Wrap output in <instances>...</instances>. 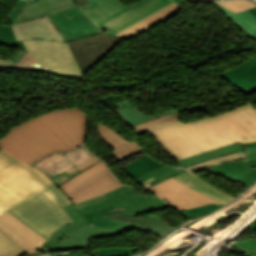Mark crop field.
I'll return each mask as SVG.
<instances>
[{"mask_svg":"<svg viewBox=\"0 0 256 256\" xmlns=\"http://www.w3.org/2000/svg\"><path fill=\"white\" fill-rule=\"evenodd\" d=\"M12 28L17 40L38 38L65 41L48 16L12 25Z\"/></svg>","mask_w":256,"mask_h":256,"instance_id":"obj_13","label":"crop field"},{"mask_svg":"<svg viewBox=\"0 0 256 256\" xmlns=\"http://www.w3.org/2000/svg\"><path fill=\"white\" fill-rule=\"evenodd\" d=\"M100 160L82 145L69 153H54L31 166L43 171L59 186Z\"/></svg>","mask_w":256,"mask_h":256,"instance_id":"obj_6","label":"crop field"},{"mask_svg":"<svg viewBox=\"0 0 256 256\" xmlns=\"http://www.w3.org/2000/svg\"><path fill=\"white\" fill-rule=\"evenodd\" d=\"M91 4L79 7L88 19L99 28L118 18L147 0H139L126 7L120 0H88Z\"/></svg>","mask_w":256,"mask_h":256,"instance_id":"obj_11","label":"crop field"},{"mask_svg":"<svg viewBox=\"0 0 256 256\" xmlns=\"http://www.w3.org/2000/svg\"><path fill=\"white\" fill-rule=\"evenodd\" d=\"M86 4L87 0H39L25 6L19 19L23 22L48 15L66 42L103 33L77 8Z\"/></svg>","mask_w":256,"mask_h":256,"instance_id":"obj_4","label":"crop field"},{"mask_svg":"<svg viewBox=\"0 0 256 256\" xmlns=\"http://www.w3.org/2000/svg\"><path fill=\"white\" fill-rule=\"evenodd\" d=\"M148 190L164 198L178 211L210 203L219 204L213 199L181 184L173 177L149 188Z\"/></svg>","mask_w":256,"mask_h":256,"instance_id":"obj_9","label":"crop field"},{"mask_svg":"<svg viewBox=\"0 0 256 256\" xmlns=\"http://www.w3.org/2000/svg\"><path fill=\"white\" fill-rule=\"evenodd\" d=\"M9 211L47 239L66 223L40 192Z\"/></svg>","mask_w":256,"mask_h":256,"instance_id":"obj_7","label":"crop field"},{"mask_svg":"<svg viewBox=\"0 0 256 256\" xmlns=\"http://www.w3.org/2000/svg\"><path fill=\"white\" fill-rule=\"evenodd\" d=\"M244 95L256 92V59L248 58L245 62L218 74Z\"/></svg>","mask_w":256,"mask_h":256,"instance_id":"obj_12","label":"crop field"},{"mask_svg":"<svg viewBox=\"0 0 256 256\" xmlns=\"http://www.w3.org/2000/svg\"><path fill=\"white\" fill-rule=\"evenodd\" d=\"M52 183L44 173L0 148V214Z\"/></svg>","mask_w":256,"mask_h":256,"instance_id":"obj_3","label":"crop field"},{"mask_svg":"<svg viewBox=\"0 0 256 256\" xmlns=\"http://www.w3.org/2000/svg\"><path fill=\"white\" fill-rule=\"evenodd\" d=\"M242 145H244L245 147L254 146V145H256V142L247 143V144H242Z\"/></svg>","mask_w":256,"mask_h":256,"instance_id":"obj_42","label":"crop field"},{"mask_svg":"<svg viewBox=\"0 0 256 256\" xmlns=\"http://www.w3.org/2000/svg\"><path fill=\"white\" fill-rule=\"evenodd\" d=\"M250 167H256V158L247 160Z\"/></svg>","mask_w":256,"mask_h":256,"instance_id":"obj_40","label":"crop field"},{"mask_svg":"<svg viewBox=\"0 0 256 256\" xmlns=\"http://www.w3.org/2000/svg\"><path fill=\"white\" fill-rule=\"evenodd\" d=\"M174 178L181 183L201 192L204 193L214 200L222 203L223 205L235 198L234 196L210 185L209 183L195 177L191 173L185 171L179 175L174 176Z\"/></svg>","mask_w":256,"mask_h":256,"instance_id":"obj_17","label":"crop field"},{"mask_svg":"<svg viewBox=\"0 0 256 256\" xmlns=\"http://www.w3.org/2000/svg\"><path fill=\"white\" fill-rule=\"evenodd\" d=\"M246 149H247L246 159L256 157V146L248 147Z\"/></svg>","mask_w":256,"mask_h":256,"instance_id":"obj_38","label":"crop field"},{"mask_svg":"<svg viewBox=\"0 0 256 256\" xmlns=\"http://www.w3.org/2000/svg\"><path fill=\"white\" fill-rule=\"evenodd\" d=\"M0 44L26 49L22 41H16L11 26L0 25Z\"/></svg>","mask_w":256,"mask_h":256,"instance_id":"obj_30","label":"crop field"},{"mask_svg":"<svg viewBox=\"0 0 256 256\" xmlns=\"http://www.w3.org/2000/svg\"><path fill=\"white\" fill-rule=\"evenodd\" d=\"M173 3L171 0H161L158 3L154 4L153 6L149 7L148 9L142 11L141 13L137 14L136 16L132 17L131 19L127 20L126 22L122 23L121 25L115 27L114 29L108 31L109 33L115 35L116 33L138 23L143 18L159 11L160 9L166 7L167 5Z\"/></svg>","mask_w":256,"mask_h":256,"instance_id":"obj_28","label":"crop field"},{"mask_svg":"<svg viewBox=\"0 0 256 256\" xmlns=\"http://www.w3.org/2000/svg\"><path fill=\"white\" fill-rule=\"evenodd\" d=\"M221 4L222 6L226 7L227 9L237 13L242 10L255 7L253 4H251L248 1H243V0H229V1H219L217 2Z\"/></svg>","mask_w":256,"mask_h":256,"instance_id":"obj_33","label":"crop field"},{"mask_svg":"<svg viewBox=\"0 0 256 256\" xmlns=\"http://www.w3.org/2000/svg\"><path fill=\"white\" fill-rule=\"evenodd\" d=\"M40 192L56 207L68 224L73 222L63 207L71 202L55 183Z\"/></svg>","mask_w":256,"mask_h":256,"instance_id":"obj_24","label":"crop field"},{"mask_svg":"<svg viewBox=\"0 0 256 256\" xmlns=\"http://www.w3.org/2000/svg\"><path fill=\"white\" fill-rule=\"evenodd\" d=\"M183 171L185 170L177 167H172L170 165H166L137 178L136 182L142 185L143 187L148 188L163 179L169 178Z\"/></svg>","mask_w":256,"mask_h":256,"instance_id":"obj_25","label":"crop field"},{"mask_svg":"<svg viewBox=\"0 0 256 256\" xmlns=\"http://www.w3.org/2000/svg\"><path fill=\"white\" fill-rule=\"evenodd\" d=\"M204 107H205V104L201 103V104L192 105V106H188V107H184V108H180V109H175V110H171V111L162 112V113L152 115V116H149V117L144 115L141 112V110L138 108V106L117 110V112L124 119H126L132 126H134V125L141 124L142 122H145L147 120H150V119H153V118H156V117H160V116L172 113V112L181 111V110L203 109Z\"/></svg>","mask_w":256,"mask_h":256,"instance_id":"obj_23","label":"crop field"},{"mask_svg":"<svg viewBox=\"0 0 256 256\" xmlns=\"http://www.w3.org/2000/svg\"><path fill=\"white\" fill-rule=\"evenodd\" d=\"M0 230L31 256L47 240L9 211L0 215Z\"/></svg>","mask_w":256,"mask_h":256,"instance_id":"obj_10","label":"crop field"},{"mask_svg":"<svg viewBox=\"0 0 256 256\" xmlns=\"http://www.w3.org/2000/svg\"><path fill=\"white\" fill-rule=\"evenodd\" d=\"M137 247L94 249L93 254L98 256H128L133 255Z\"/></svg>","mask_w":256,"mask_h":256,"instance_id":"obj_32","label":"crop field"},{"mask_svg":"<svg viewBox=\"0 0 256 256\" xmlns=\"http://www.w3.org/2000/svg\"><path fill=\"white\" fill-rule=\"evenodd\" d=\"M105 196L108 199L87 207L77 209V211L79 212L80 215H83L101 208H105L117 203L143 197L146 195L136 191L135 188L124 186L120 189H117L115 191L105 194Z\"/></svg>","mask_w":256,"mask_h":256,"instance_id":"obj_22","label":"crop field"},{"mask_svg":"<svg viewBox=\"0 0 256 256\" xmlns=\"http://www.w3.org/2000/svg\"><path fill=\"white\" fill-rule=\"evenodd\" d=\"M25 4V0L24 1H17L10 16H9V19L11 21V24H17V23H20L18 21V18H17V15L19 14V12L21 11V9L23 8Z\"/></svg>","mask_w":256,"mask_h":256,"instance_id":"obj_35","label":"crop field"},{"mask_svg":"<svg viewBox=\"0 0 256 256\" xmlns=\"http://www.w3.org/2000/svg\"><path fill=\"white\" fill-rule=\"evenodd\" d=\"M254 16H256V7L252 9H248Z\"/></svg>","mask_w":256,"mask_h":256,"instance_id":"obj_41","label":"crop field"},{"mask_svg":"<svg viewBox=\"0 0 256 256\" xmlns=\"http://www.w3.org/2000/svg\"><path fill=\"white\" fill-rule=\"evenodd\" d=\"M23 42L28 53L54 73L83 77L67 43L38 39Z\"/></svg>","mask_w":256,"mask_h":256,"instance_id":"obj_8","label":"crop field"},{"mask_svg":"<svg viewBox=\"0 0 256 256\" xmlns=\"http://www.w3.org/2000/svg\"><path fill=\"white\" fill-rule=\"evenodd\" d=\"M221 206L223 205L210 204V205H206L203 207H199V208H195L187 211H180V213H182L185 217L190 219L196 216L209 214Z\"/></svg>","mask_w":256,"mask_h":256,"instance_id":"obj_34","label":"crop field"},{"mask_svg":"<svg viewBox=\"0 0 256 256\" xmlns=\"http://www.w3.org/2000/svg\"><path fill=\"white\" fill-rule=\"evenodd\" d=\"M254 2H256V0H253Z\"/></svg>","mask_w":256,"mask_h":256,"instance_id":"obj_44","label":"crop field"},{"mask_svg":"<svg viewBox=\"0 0 256 256\" xmlns=\"http://www.w3.org/2000/svg\"><path fill=\"white\" fill-rule=\"evenodd\" d=\"M191 1H202V0H191Z\"/></svg>","mask_w":256,"mask_h":256,"instance_id":"obj_43","label":"crop field"},{"mask_svg":"<svg viewBox=\"0 0 256 256\" xmlns=\"http://www.w3.org/2000/svg\"><path fill=\"white\" fill-rule=\"evenodd\" d=\"M104 199H106V197H105L104 195H102V196H98V197H95V198L86 200V201H84V202L75 204V205H73V206L75 207V209H77V208H80V207H83V206H86V205H90V204L99 202V201L104 200Z\"/></svg>","mask_w":256,"mask_h":256,"instance_id":"obj_37","label":"crop field"},{"mask_svg":"<svg viewBox=\"0 0 256 256\" xmlns=\"http://www.w3.org/2000/svg\"><path fill=\"white\" fill-rule=\"evenodd\" d=\"M213 3L217 5L224 13H226L233 21H235L242 29H244L256 41V17H254L247 10L235 14L227 10L226 8L220 6L217 3L215 2Z\"/></svg>","mask_w":256,"mask_h":256,"instance_id":"obj_26","label":"crop field"},{"mask_svg":"<svg viewBox=\"0 0 256 256\" xmlns=\"http://www.w3.org/2000/svg\"><path fill=\"white\" fill-rule=\"evenodd\" d=\"M24 51L21 49L20 53L17 55V57L14 60H4L0 58V66L4 67H15V65L18 63V61L21 59V57L24 55ZM17 66V65H16Z\"/></svg>","mask_w":256,"mask_h":256,"instance_id":"obj_36","label":"crop field"},{"mask_svg":"<svg viewBox=\"0 0 256 256\" xmlns=\"http://www.w3.org/2000/svg\"><path fill=\"white\" fill-rule=\"evenodd\" d=\"M7 237V236H6ZM0 232V256H21L25 254Z\"/></svg>","mask_w":256,"mask_h":256,"instance_id":"obj_31","label":"crop field"},{"mask_svg":"<svg viewBox=\"0 0 256 256\" xmlns=\"http://www.w3.org/2000/svg\"><path fill=\"white\" fill-rule=\"evenodd\" d=\"M115 209L129 215L136 216L164 208L170 207L168 204L162 201V199L155 195L149 197H143L132 201L124 202L118 205H114Z\"/></svg>","mask_w":256,"mask_h":256,"instance_id":"obj_18","label":"crop field"},{"mask_svg":"<svg viewBox=\"0 0 256 256\" xmlns=\"http://www.w3.org/2000/svg\"><path fill=\"white\" fill-rule=\"evenodd\" d=\"M62 256H88L82 252H78V253H67V254H64Z\"/></svg>","mask_w":256,"mask_h":256,"instance_id":"obj_39","label":"crop field"},{"mask_svg":"<svg viewBox=\"0 0 256 256\" xmlns=\"http://www.w3.org/2000/svg\"><path fill=\"white\" fill-rule=\"evenodd\" d=\"M180 112L145 122L134 128L148 132L175 160L235 142L256 141V107L250 103L217 116L184 124Z\"/></svg>","mask_w":256,"mask_h":256,"instance_id":"obj_1","label":"crop field"},{"mask_svg":"<svg viewBox=\"0 0 256 256\" xmlns=\"http://www.w3.org/2000/svg\"><path fill=\"white\" fill-rule=\"evenodd\" d=\"M204 170L237 181L248 188L256 183V168L250 169L245 159L216 165Z\"/></svg>","mask_w":256,"mask_h":256,"instance_id":"obj_14","label":"crop field"},{"mask_svg":"<svg viewBox=\"0 0 256 256\" xmlns=\"http://www.w3.org/2000/svg\"><path fill=\"white\" fill-rule=\"evenodd\" d=\"M98 131L100 137L115 151H112L116 157L121 160L129 155H132L140 149L137 147L135 141H128L116 131L106 127L98 122Z\"/></svg>","mask_w":256,"mask_h":256,"instance_id":"obj_16","label":"crop field"},{"mask_svg":"<svg viewBox=\"0 0 256 256\" xmlns=\"http://www.w3.org/2000/svg\"><path fill=\"white\" fill-rule=\"evenodd\" d=\"M86 123L79 108L55 109L12 128L0 147L30 165L84 144Z\"/></svg>","mask_w":256,"mask_h":256,"instance_id":"obj_2","label":"crop field"},{"mask_svg":"<svg viewBox=\"0 0 256 256\" xmlns=\"http://www.w3.org/2000/svg\"><path fill=\"white\" fill-rule=\"evenodd\" d=\"M180 8H182V7H180L176 2H174L173 4L167 6L166 8L160 10L159 12L143 19L135 26L117 34L116 36H119L124 39H129V38L135 37V36L139 35L140 33L157 25L158 23L164 21L169 16H171L175 12H177Z\"/></svg>","mask_w":256,"mask_h":256,"instance_id":"obj_19","label":"crop field"},{"mask_svg":"<svg viewBox=\"0 0 256 256\" xmlns=\"http://www.w3.org/2000/svg\"><path fill=\"white\" fill-rule=\"evenodd\" d=\"M165 165L164 163L158 162L147 155L124 166V169L134 178L154 170L156 168H159L161 166Z\"/></svg>","mask_w":256,"mask_h":256,"instance_id":"obj_27","label":"crop field"},{"mask_svg":"<svg viewBox=\"0 0 256 256\" xmlns=\"http://www.w3.org/2000/svg\"><path fill=\"white\" fill-rule=\"evenodd\" d=\"M116 211L113 206L105 208V209H101L86 215H83V217L89 222L88 224H93V225H97V226H103V227H109V228H115V229H121V230H133V229H137L143 232H147V233H151L145 229H143L142 227L135 225V224H131V223H127V222H123V221H119V220H115V219H111V218H107L105 216L113 214ZM152 234V233H151Z\"/></svg>","mask_w":256,"mask_h":256,"instance_id":"obj_21","label":"crop field"},{"mask_svg":"<svg viewBox=\"0 0 256 256\" xmlns=\"http://www.w3.org/2000/svg\"><path fill=\"white\" fill-rule=\"evenodd\" d=\"M245 152H246V150L238 152V153H234V154H231V155L215 158V159H212V160H209V161H206V162H201L199 164L187 167L185 169L192 173V172H196V171H199L203 168L213 166V165H216V164L224 163V162L235 160V159H242V158H245Z\"/></svg>","mask_w":256,"mask_h":256,"instance_id":"obj_29","label":"crop field"},{"mask_svg":"<svg viewBox=\"0 0 256 256\" xmlns=\"http://www.w3.org/2000/svg\"><path fill=\"white\" fill-rule=\"evenodd\" d=\"M71 205L65 209L73 219V223H67L60 228L39 250L50 254L69 250L88 249L92 238L108 237L124 231L102 228L85 224L87 221L77 213Z\"/></svg>","mask_w":256,"mask_h":256,"instance_id":"obj_5","label":"crop field"},{"mask_svg":"<svg viewBox=\"0 0 256 256\" xmlns=\"http://www.w3.org/2000/svg\"><path fill=\"white\" fill-rule=\"evenodd\" d=\"M108 173H110V171L108 170L106 163L102 160L94 166L84 170L71 180L61 184L59 187L68 197Z\"/></svg>","mask_w":256,"mask_h":256,"instance_id":"obj_15","label":"crop field"},{"mask_svg":"<svg viewBox=\"0 0 256 256\" xmlns=\"http://www.w3.org/2000/svg\"><path fill=\"white\" fill-rule=\"evenodd\" d=\"M122 186L124 185L117 181L112 174H109L68 198L75 204L105 194Z\"/></svg>","mask_w":256,"mask_h":256,"instance_id":"obj_20","label":"crop field"}]
</instances>
